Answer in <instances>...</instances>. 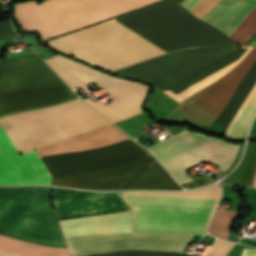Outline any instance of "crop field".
<instances>
[{
    "instance_id": "1",
    "label": "crop field",
    "mask_w": 256,
    "mask_h": 256,
    "mask_svg": "<svg viewBox=\"0 0 256 256\" xmlns=\"http://www.w3.org/2000/svg\"><path fill=\"white\" fill-rule=\"evenodd\" d=\"M115 19L167 52L235 44L221 31L197 20L171 0ZM116 20L100 22L46 43L108 71L122 68L133 60L166 53Z\"/></svg>"
},
{
    "instance_id": "2",
    "label": "crop field",
    "mask_w": 256,
    "mask_h": 256,
    "mask_svg": "<svg viewBox=\"0 0 256 256\" xmlns=\"http://www.w3.org/2000/svg\"><path fill=\"white\" fill-rule=\"evenodd\" d=\"M72 256L120 249L183 252L194 235L133 232L131 210L59 221Z\"/></svg>"
},
{
    "instance_id": "3",
    "label": "crop field",
    "mask_w": 256,
    "mask_h": 256,
    "mask_svg": "<svg viewBox=\"0 0 256 256\" xmlns=\"http://www.w3.org/2000/svg\"><path fill=\"white\" fill-rule=\"evenodd\" d=\"M126 203L215 207L221 194L219 184L185 192L121 193ZM132 209L135 231L205 234L215 208L138 205Z\"/></svg>"
},
{
    "instance_id": "4",
    "label": "crop field",
    "mask_w": 256,
    "mask_h": 256,
    "mask_svg": "<svg viewBox=\"0 0 256 256\" xmlns=\"http://www.w3.org/2000/svg\"><path fill=\"white\" fill-rule=\"evenodd\" d=\"M19 154L110 124L79 98L0 117Z\"/></svg>"
},
{
    "instance_id": "5",
    "label": "crop field",
    "mask_w": 256,
    "mask_h": 256,
    "mask_svg": "<svg viewBox=\"0 0 256 256\" xmlns=\"http://www.w3.org/2000/svg\"><path fill=\"white\" fill-rule=\"evenodd\" d=\"M126 139L107 125L58 143L37 149L40 157L58 153L83 151L109 145ZM148 156L147 153L126 139L124 141L77 153L42 157L52 177L88 173L129 163Z\"/></svg>"
},
{
    "instance_id": "6",
    "label": "crop field",
    "mask_w": 256,
    "mask_h": 256,
    "mask_svg": "<svg viewBox=\"0 0 256 256\" xmlns=\"http://www.w3.org/2000/svg\"><path fill=\"white\" fill-rule=\"evenodd\" d=\"M158 0H45L16 5L17 21L25 31L50 39Z\"/></svg>"
},
{
    "instance_id": "7",
    "label": "crop field",
    "mask_w": 256,
    "mask_h": 256,
    "mask_svg": "<svg viewBox=\"0 0 256 256\" xmlns=\"http://www.w3.org/2000/svg\"><path fill=\"white\" fill-rule=\"evenodd\" d=\"M74 98L37 55L2 62L0 59V116Z\"/></svg>"
},
{
    "instance_id": "8",
    "label": "crop field",
    "mask_w": 256,
    "mask_h": 256,
    "mask_svg": "<svg viewBox=\"0 0 256 256\" xmlns=\"http://www.w3.org/2000/svg\"><path fill=\"white\" fill-rule=\"evenodd\" d=\"M51 188L0 187V233L66 248L51 202Z\"/></svg>"
},
{
    "instance_id": "9",
    "label": "crop field",
    "mask_w": 256,
    "mask_h": 256,
    "mask_svg": "<svg viewBox=\"0 0 256 256\" xmlns=\"http://www.w3.org/2000/svg\"><path fill=\"white\" fill-rule=\"evenodd\" d=\"M238 146L185 130L148 149L182 184L191 180L183 173L185 168L203 160L214 162L224 172L234 160Z\"/></svg>"
},
{
    "instance_id": "10",
    "label": "crop field",
    "mask_w": 256,
    "mask_h": 256,
    "mask_svg": "<svg viewBox=\"0 0 256 256\" xmlns=\"http://www.w3.org/2000/svg\"><path fill=\"white\" fill-rule=\"evenodd\" d=\"M237 47L239 46L181 50L119 69L114 73L151 83L159 92Z\"/></svg>"
},
{
    "instance_id": "11",
    "label": "crop field",
    "mask_w": 256,
    "mask_h": 256,
    "mask_svg": "<svg viewBox=\"0 0 256 256\" xmlns=\"http://www.w3.org/2000/svg\"><path fill=\"white\" fill-rule=\"evenodd\" d=\"M218 0H184L180 5L187 8L194 16L200 17ZM256 0H219L199 19L217 27L226 35L244 20L255 8ZM256 32V8L229 36L235 42L245 45Z\"/></svg>"
},
{
    "instance_id": "12",
    "label": "crop field",
    "mask_w": 256,
    "mask_h": 256,
    "mask_svg": "<svg viewBox=\"0 0 256 256\" xmlns=\"http://www.w3.org/2000/svg\"><path fill=\"white\" fill-rule=\"evenodd\" d=\"M51 184V176L35 150L19 155L0 126V184Z\"/></svg>"
},
{
    "instance_id": "13",
    "label": "crop field",
    "mask_w": 256,
    "mask_h": 256,
    "mask_svg": "<svg viewBox=\"0 0 256 256\" xmlns=\"http://www.w3.org/2000/svg\"><path fill=\"white\" fill-rule=\"evenodd\" d=\"M256 83V60L235 89L227 104L216 119L221 127L226 129L228 123L238 110L239 106ZM256 113V84L242 103L241 107L231 120L224 137L234 141L242 140L246 136L248 125ZM222 135V136H223Z\"/></svg>"
},
{
    "instance_id": "14",
    "label": "crop field",
    "mask_w": 256,
    "mask_h": 256,
    "mask_svg": "<svg viewBox=\"0 0 256 256\" xmlns=\"http://www.w3.org/2000/svg\"><path fill=\"white\" fill-rule=\"evenodd\" d=\"M57 218H69L130 209L120 193H92L54 188Z\"/></svg>"
},
{
    "instance_id": "15",
    "label": "crop field",
    "mask_w": 256,
    "mask_h": 256,
    "mask_svg": "<svg viewBox=\"0 0 256 256\" xmlns=\"http://www.w3.org/2000/svg\"><path fill=\"white\" fill-rule=\"evenodd\" d=\"M94 84L102 87L113 101L105 105L92 102L88 98L84 101L111 121L115 122L142 112L139 105L145 95L147 86L116 79L108 75Z\"/></svg>"
},
{
    "instance_id": "16",
    "label": "crop field",
    "mask_w": 256,
    "mask_h": 256,
    "mask_svg": "<svg viewBox=\"0 0 256 256\" xmlns=\"http://www.w3.org/2000/svg\"><path fill=\"white\" fill-rule=\"evenodd\" d=\"M156 161L152 155L113 169L94 173L53 178L52 185L70 186L93 190H114L120 187L137 171Z\"/></svg>"
},
{
    "instance_id": "17",
    "label": "crop field",
    "mask_w": 256,
    "mask_h": 256,
    "mask_svg": "<svg viewBox=\"0 0 256 256\" xmlns=\"http://www.w3.org/2000/svg\"><path fill=\"white\" fill-rule=\"evenodd\" d=\"M255 57L256 48H254L230 73L203 90L194 101V104L217 116L228 96L236 87L245 70Z\"/></svg>"
},
{
    "instance_id": "18",
    "label": "crop field",
    "mask_w": 256,
    "mask_h": 256,
    "mask_svg": "<svg viewBox=\"0 0 256 256\" xmlns=\"http://www.w3.org/2000/svg\"><path fill=\"white\" fill-rule=\"evenodd\" d=\"M45 62L72 88L84 87L101 79L104 74L82 64L55 55Z\"/></svg>"
},
{
    "instance_id": "19",
    "label": "crop field",
    "mask_w": 256,
    "mask_h": 256,
    "mask_svg": "<svg viewBox=\"0 0 256 256\" xmlns=\"http://www.w3.org/2000/svg\"><path fill=\"white\" fill-rule=\"evenodd\" d=\"M122 189H182L158 162L144 167Z\"/></svg>"
},
{
    "instance_id": "20",
    "label": "crop field",
    "mask_w": 256,
    "mask_h": 256,
    "mask_svg": "<svg viewBox=\"0 0 256 256\" xmlns=\"http://www.w3.org/2000/svg\"><path fill=\"white\" fill-rule=\"evenodd\" d=\"M0 249L25 256H70L67 249L46 247L0 235ZM0 250V256H21Z\"/></svg>"
},
{
    "instance_id": "21",
    "label": "crop field",
    "mask_w": 256,
    "mask_h": 256,
    "mask_svg": "<svg viewBox=\"0 0 256 256\" xmlns=\"http://www.w3.org/2000/svg\"><path fill=\"white\" fill-rule=\"evenodd\" d=\"M236 211L216 210L209 226L208 232L212 236L226 239L228 228Z\"/></svg>"
},
{
    "instance_id": "22",
    "label": "crop field",
    "mask_w": 256,
    "mask_h": 256,
    "mask_svg": "<svg viewBox=\"0 0 256 256\" xmlns=\"http://www.w3.org/2000/svg\"><path fill=\"white\" fill-rule=\"evenodd\" d=\"M90 256H188L186 254L179 253H167L158 251H119L106 254L90 255Z\"/></svg>"
},
{
    "instance_id": "23",
    "label": "crop field",
    "mask_w": 256,
    "mask_h": 256,
    "mask_svg": "<svg viewBox=\"0 0 256 256\" xmlns=\"http://www.w3.org/2000/svg\"><path fill=\"white\" fill-rule=\"evenodd\" d=\"M234 245L233 242L217 239L212 250L205 256H225Z\"/></svg>"
},
{
    "instance_id": "24",
    "label": "crop field",
    "mask_w": 256,
    "mask_h": 256,
    "mask_svg": "<svg viewBox=\"0 0 256 256\" xmlns=\"http://www.w3.org/2000/svg\"><path fill=\"white\" fill-rule=\"evenodd\" d=\"M242 256H256L255 249H244L242 252Z\"/></svg>"
},
{
    "instance_id": "25",
    "label": "crop field",
    "mask_w": 256,
    "mask_h": 256,
    "mask_svg": "<svg viewBox=\"0 0 256 256\" xmlns=\"http://www.w3.org/2000/svg\"><path fill=\"white\" fill-rule=\"evenodd\" d=\"M249 137H256V119L252 125L250 136Z\"/></svg>"
},
{
    "instance_id": "26",
    "label": "crop field",
    "mask_w": 256,
    "mask_h": 256,
    "mask_svg": "<svg viewBox=\"0 0 256 256\" xmlns=\"http://www.w3.org/2000/svg\"><path fill=\"white\" fill-rule=\"evenodd\" d=\"M255 175H256V170H255V173H254V176H253V179H252V182H251V185H250V186L253 185ZM253 186H256V178H255V182H254V185H253Z\"/></svg>"
},
{
    "instance_id": "27",
    "label": "crop field",
    "mask_w": 256,
    "mask_h": 256,
    "mask_svg": "<svg viewBox=\"0 0 256 256\" xmlns=\"http://www.w3.org/2000/svg\"><path fill=\"white\" fill-rule=\"evenodd\" d=\"M249 45L256 46V37L252 40V42Z\"/></svg>"
},
{
    "instance_id": "28",
    "label": "crop field",
    "mask_w": 256,
    "mask_h": 256,
    "mask_svg": "<svg viewBox=\"0 0 256 256\" xmlns=\"http://www.w3.org/2000/svg\"><path fill=\"white\" fill-rule=\"evenodd\" d=\"M173 1H175L177 3H181L182 2V0H173Z\"/></svg>"
}]
</instances>
